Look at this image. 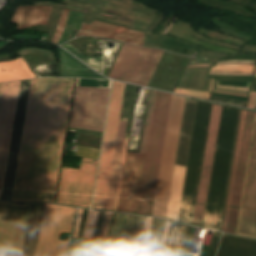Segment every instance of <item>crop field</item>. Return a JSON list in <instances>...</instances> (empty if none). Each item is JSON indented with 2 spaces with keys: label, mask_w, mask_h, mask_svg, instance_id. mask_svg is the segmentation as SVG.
Masks as SVG:
<instances>
[{
  "label": "crop field",
  "mask_w": 256,
  "mask_h": 256,
  "mask_svg": "<svg viewBox=\"0 0 256 256\" xmlns=\"http://www.w3.org/2000/svg\"><path fill=\"white\" fill-rule=\"evenodd\" d=\"M73 82L48 80L28 201L54 202Z\"/></svg>",
  "instance_id": "obj_1"
},
{
  "label": "crop field",
  "mask_w": 256,
  "mask_h": 256,
  "mask_svg": "<svg viewBox=\"0 0 256 256\" xmlns=\"http://www.w3.org/2000/svg\"><path fill=\"white\" fill-rule=\"evenodd\" d=\"M48 78L31 80L11 201L27 202Z\"/></svg>",
  "instance_id": "obj_2"
},
{
  "label": "crop field",
  "mask_w": 256,
  "mask_h": 256,
  "mask_svg": "<svg viewBox=\"0 0 256 256\" xmlns=\"http://www.w3.org/2000/svg\"><path fill=\"white\" fill-rule=\"evenodd\" d=\"M239 110L222 108L203 226L219 230Z\"/></svg>",
  "instance_id": "obj_3"
},
{
  "label": "crop field",
  "mask_w": 256,
  "mask_h": 256,
  "mask_svg": "<svg viewBox=\"0 0 256 256\" xmlns=\"http://www.w3.org/2000/svg\"><path fill=\"white\" fill-rule=\"evenodd\" d=\"M184 101V98L172 95L152 212L153 216L165 218L166 215Z\"/></svg>",
  "instance_id": "obj_4"
},
{
  "label": "crop field",
  "mask_w": 256,
  "mask_h": 256,
  "mask_svg": "<svg viewBox=\"0 0 256 256\" xmlns=\"http://www.w3.org/2000/svg\"><path fill=\"white\" fill-rule=\"evenodd\" d=\"M124 87L113 81L92 208L105 207Z\"/></svg>",
  "instance_id": "obj_5"
},
{
  "label": "crop field",
  "mask_w": 256,
  "mask_h": 256,
  "mask_svg": "<svg viewBox=\"0 0 256 256\" xmlns=\"http://www.w3.org/2000/svg\"><path fill=\"white\" fill-rule=\"evenodd\" d=\"M75 210L45 204L34 256H65L68 239L67 242L59 239L61 233L70 232Z\"/></svg>",
  "instance_id": "obj_6"
},
{
  "label": "crop field",
  "mask_w": 256,
  "mask_h": 256,
  "mask_svg": "<svg viewBox=\"0 0 256 256\" xmlns=\"http://www.w3.org/2000/svg\"><path fill=\"white\" fill-rule=\"evenodd\" d=\"M162 53L124 44L108 76L146 86Z\"/></svg>",
  "instance_id": "obj_7"
},
{
  "label": "crop field",
  "mask_w": 256,
  "mask_h": 256,
  "mask_svg": "<svg viewBox=\"0 0 256 256\" xmlns=\"http://www.w3.org/2000/svg\"><path fill=\"white\" fill-rule=\"evenodd\" d=\"M155 91L150 89L139 153L145 154ZM142 154L127 153L117 211L135 214L144 162Z\"/></svg>",
  "instance_id": "obj_8"
},
{
  "label": "crop field",
  "mask_w": 256,
  "mask_h": 256,
  "mask_svg": "<svg viewBox=\"0 0 256 256\" xmlns=\"http://www.w3.org/2000/svg\"><path fill=\"white\" fill-rule=\"evenodd\" d=\"M108 92L75 87L69 126L102 132Z\"/></svg>",
  "instance_id": "obj_9"
},
{
  "label": "crop field",
  "mask_w": 256,
  "mask_h": 256,
  "mask_svg": "<svg viewBox=\"0 0 256 256\" xmlns=\"http://www.w3.org/2000/svg\"><path fill=\"white\" fill-rule=\"evenodd\" d=\"M96 163L82 158L79 170L62 168L56 203L89 208Z\"/></svg>",
  "instance_id": "obj_10"
},
{
  "label": "crop field",
  "mask_w": 256,
  "mask_h": 256,
  "mask_svg": "<svg viewBox=\"0 0 256 256\" xmlns=\"http://www.w3.org/2000/svg\"><path fill=\"white\" fill-rule=\"evenodd\" d=\"M31 204L0 201V256H20Z\"/></svg>",
  "instance_id": "obj_11"
},
{
  "label": "crop field",
  "mask_w": 256,
  "mask_h": 256,
  "mask_svg": "<svg viewBox=\"0 0 256 256\" xmlns=\"http://www.w3.org/2000/svg\"><path fill=\"white\" fill-rule=\"evenodd\" d=\"M209 104H197L178 220L189 224Z\"/></svg>",
  "instance_id": "obj_12"
},
{
  "label": "crop field",
  "mask_w": 256,
  "mask_h": 256,
  "mask_svg": "<svg viewBox=\"0 0 256 256\" xmlns=\"http://www.w3.org/2000/svg\"><path fill=\"white\" fill-rule=\"evenodd\" d=\"M235 234L256 238V115Z\"/></svg>",
  "instance_id": "obj_13"
},
{
  "label": "crop field",
  "mask_w": 256,
  "mask_h": 256,
  "mask_svg": "<svg viewBox=\"0 0 256 256\" xmlns=\"http://www.w3.org/2000/svg\"><path fill=\"white\" fill-rule=\"evenodd\" d=\"M166 94L156 91L136 214L146 215Z\"/></svg>",
  "instance_id": "obj_14"
},
{
  "label": "crop field",
  "mask_w": 256,
  "mask_h": 256,
  "mask_svg": "<svg viewBox=\"0 0 256 256\" xmlns=\"http://www.w3.org/2000/svg\"><path fill=\"white\" fill-rule=\"evenodd\" d=\"M195 104L196 102L194 101L186 100L185 102L175 166L185 167V164H186ZM180 167L174 168V174H173V180H172V186H171V192H170V198H169V204H168V210H167V216H166V218H172L176 220L178 217V211H179V205H180V199H181V193H182V187H183V181H184V175H185V169H186V168H180Z\"/></svg>",
  "instance_id": "obj_15"
},
{
  "label": "crop field",
  "mask_w": 256,
  "mask_h": 256,
  "mask_svg": "<svg viewBox=\"0 0 256 256\" xmlns=\"http://www.w3.org/2000/svg\"><path fill=\"white\" fill-rule=\"evenodd\" d=\"M221 108L220 105H214L212 104L211 107V113H210V119H209V125H208V131H207V137H206V143H205V149H204V155H203V161H202V167H201V173H200V179H199V185H198V191H197V197H196V203H195V209H194V215H193V225L201 226L203 224V218H204V212H205V206H206V199H207V193H208V187H209V181H210V175H211V168H212V162H213V156H214V150H215V141H216V135L218 130V124L221 114Z\"/></svg>",
  "instance_id": "obj_16"
},
{
  "label": "crop field",
  "mask_w": 256,
  "mask_h": 256,
  "mask_svg": "<svg viewBox=\"0 0 256 256\" xmlns=\"http://www.w3.org/2000/svg\"><path fill=\"white\" fill-rule=\"evenodd\" d=\"M254 115H255L254 112H249V111H246V114H245V120H244V126H243V132H242V138H241V144H240V150H239V156H238V162H237V168H236V174H235V180H234V186H233V192H232V198H231V204H230V210H229V216H228V222H227V228H226L227 232H230L233 234L235 232L238 208L240 203L244 173L246 168L249 144H250L253 121H254Z\"/></svg>",
  "instance_id": "obj_17"
},
{
  "label": "crop field",
  "mask_w": 256,
  "mask_h": 256,
  "mask_svg": "<svg viewBox=\"0 0 256 256\" xmlns=\"http://www.w3.org/2000/svg\"><path fill=\"white\" fill-rule=\"evenodd\" d=\"M81 35L112 38L141 46H143L144 39V33L142 32L128 30L96 21L90 25L83 24V28L80 30L77 36Z\"/></svg>",
  "instance_id": "obj_18"
},
{
  "label": "crop field",
  "mask_w": 256,
  "mask_h": 256,
  "mask_svg": "<svg viewBox=\"0 0 256 256\" xmlns=\"http://www.w3.org/2000/svg\"><path fill=\"white\" fill-rule=\"evenodd\" d=\"M30 80L21 81L6 171L14 172Z\"/></svg>",
  "instance_id": "obj_19"
},
{
  "label": "crop field",
  "mask_w": 256,
  "mask_h": 256,
  "mask_svg": "<svg viewBox=\"0 0 256 256\" xmlns=\"http://www.w3.org/2000/svg\"><path fill=\"white\" fill-rule=\"evenodd\" d=\"M19 83H20V81H16V82H12V84H11V90H10L3 138H2V143H1V149H0V197H1V191H2L7 155H8V149H9V143H10L16 101H17V95H18Z\"/></svg>",
  "instance_id": "obj_20"
},
{
  "label": "crop field",
  "mask_w": 256,
  "mask_h": 256,
  "mask_svg": "<svg viewBox=\"0 0 256 256\" xmlns=\"http://www.w3.org/2000/svg\"><path fill=\"white\" fill-rule=\"evenodd\" d=\"M52 7L46 6H20L17 8L11 22L18 23L17 29L45 25L50 15Z\"/></svg>",
  "instance_id": "obj_21"
},
{
  "label": "crop field",
  "mask_w": 256,
  "mask_h": 256,
  "mask_svg": "<svg viewBox=\"0 0 256 256\" xmlns=\"http://www.w3.org/2000/svg\"><path fill=\"white\" fill-rule=\"evenodd\" d=\"M44 204H32L22 256H33Z\"/></svg>",
  "instance_id": "obj_22"
},
{
  "label": "crop field",
  "mask_w": 256,
  "mask_h": 256,
  "mask_svg": "<svg viewBox=\"0 0 256 256\" xmlns=\"http://www.w3.org/2000/svg\"><path fill=\"white\" fill-rule=\"evenodd\" d=\"M138 218L139 216H130L129 218L126 233H125V238L123 242L122 256H130L131 254L133 237H134ZM144 222H145V217H140L138 221L137 229H136L132 252L138 251ZM134 256H137V253H135Z\"/></svg>",
  "instance_id": "obj_23"
},
{
  "label": "crop field",
  "mask_w": 256,
  "mask_h": 256,
  "mask_svg": "<svg viewBox=\"0 0 256 256\" xmlns=\"http://www.w3.org/2000/svg\"><path fill=\"white\" fill-rule=\"evenodd\" d=\"M2 69H4V72L1 71ZM34 77L22 58L9 62H0V82Z\"/></svg>",
  "instance_id": "obj_24"
},
{
  "label": "crop field",
  "mask_w": 256,
  "mask_h": 256,
  "mask_svg": "<svg viewBox=\"0 0 256 256\" xmlns=\"http://www.w3.org/2000/svg\"><path fill=\"white\" fill-rule=\"evenodd\" d=\"M125 128H126V126H119V129H118V136H117V142H116V148H115V154H114V160H113V166H112V172H111V178H110V184H109V190H108V196H107V202H106V208H105V210H109V211H112V208H113L114 192H115L117 175H118L120 159H121V154H122V143H123Z\"/></svg>",
  "instance_id": "obj_25"
},
{
  "label": "crop field",
  "mask_w": 256,
  "mask_h": 256,
  "mask_svg": "<svg viewBox=\"0 0 256 256\" xmlns=\"http://www.w3.org/2000/svg\"><path fill=\"white\" fill-rule=\"evenodd\" d=\"M170 98H171V94L167 93L147 215H151V212H152V206H153V200H154V194H155V188H156V182H157V176H158V170H159V164H160V158H161V152H162L168 110H169V104H170Z\"/></svg>",
  "instance_id": "obj_26"
},
{
  "label": "crop field",
  "mask_w": 256,
  "mask_h": 256,
  "mask_svg": "<svg viewBox=\"0 0 256 256\" xmlns=\"http://www.w3.org/2000/svg\"><path fill=\"white\" fill-rule=\"evenodd\" d=\"M191 228L174 222L169 242V245L173 247L171 256H177L178 250H186Z\"/></svg>",
  "instance_id": "obj_27"
},
{
  "label": "crop field",
  "mask_w": 256,
  "mask_h": 256,
  "mask_svg": "<svg viewBox=\"0 0 256 256\" xmlns=\"http://www.w3.org/2000/svg\"><path fill=\"white\" fill-rule=\"evenodd\" d=\"M191 72L192 71H185L183 73V75H182V77L180 79V82H179L177 87H182V88H186L187 87V84H188ZM198 72H199V70H196V71L192 72V75H191V78H190V81H189V84H188L187 88L194 90L195 84H196V80H197V76H198ZM201 72H202V70H200V72H199V76H198V80H197V84H196L195 90H197V88H198ZM203 72H204V70H203ZM203 72H202V76H203ZM207 73H208V70H205L204 76H203V80H202V76H201L202 84H201V80H200L201 88H200V84H199V88L202 91L204 89V84H205ZM210 81H211V79L207 78L205 89H204V91H206V92H208ZM213 82H214V79H212V81H211L210 90H209L210 92L213 89ZM199 88H198V90H199Z\"/></svg>",
  "instance_id": "obj_28"
},
{
  "label": "crop field",
  "mask_w": 256,
  "mask_h": 256,
  "mask_svg": "<svg viewBox=\"0 0 256 256\" xmlns=\"http://www.w3.org/2000/svg\"><path fill=\"white\" fill-rule=\"evenodd\" d=\"M244 114H245V111L242 110L239 131H238V137H237V143H236V149H235V155H234V161H233V167H232V173H231V179H230V185H229V191H228V197H227V203H226V209H225V215H224V221H223V227H222V231H224V232H225V228H226V222H227V216H228V210H229V204H230V198H231V192H232V186H233V180H234V174H235V168H236L242 126H243V120H244Z\"/></svg>",
  "instance_id": "obj_29"
},
{
  "label": "crop field",
  "mask_w": 256,
  "mask_h": 256,
  "mask_svg": "<svg viewBox=\"0 0 256 256\" xmlns=\"http://www.w3.org/2000/svg\"><path fill=\"white\" fill-rule=\"evenodd\" d=\"M10 84L11 82L4 83V84H1V87H0V143H1L3 125L5 120Z\"/></svg>",
  "instance_id": "obj_30"
},
{
  "label": "crop field",
  "mask_w": 256,
  "mask_h": 256,
  "mask_svg": "<svg viewBox=\"0 0 256 256\" xmlns=\"http://www.w3.org/2000/svg\"><path fill=\"white\" fill-rule=\"evenodd\" d=\"M60 46L69 50L71 53H73L75 56H77L79 59H81L83 62H85L86 64H88L89 66L94 68L95 70H97L99 72L102 71V68H103V59L102 58L96 59L94 57L83 56L82 54L79 53V51H77L76 49H74L72 46H70L67 43L62 44Z\"/></svg>",
  "instance_id": "obj_31"
},
{
  "label": "crop field",
  "mask_w": 256,
  "mask_h": 256,
  "mask_svg": "<svg viewBox=\"0 0 256 256\" xmlns=\"http://www.w3.org/2000/svg\"><path fill=\"white\" fill-rule=\"evenodd\" d=\"M254 65H221L215 66L211 71H242V72H253Z\"/></svg>",
  "instance_id": "obj_32"
},
{
  "label": "crop field",
  "mask_w": 256,
  "mask_h": 256,
  "mask_svg": "<svg viewBox=\"0 0 256 256\" xmlns=\"http://www.w3.org/2000/svg\"><path fill=\"white\" fill-rule=\"evenodd\" d=\"M68 12L69 10H66V9H63V12H62V16H61V19L57 25V28L53 34V38H52V43H58L62 33H63V30H64V25L66 23V20H67V16H68Z\"/></svg>",
  "instance_id": "obj_33"
},
{
  "label": "crop field",
  "mask_w": 256,
  "mask_h": 256,
  "mask_svg": "<svg viewBox=\"0 0 256 256\" xmlns=\"http://www.w3.org/2000/svg\"><path fill=\"white\" fill-rule=\"evenodd\" d=\"M78 80L79 79H77L75 86H77ZM108 82L109 81L80 79L78 86L107 88ZM110 83H111V81H110ZM110 83H109V87H110Z\"/></svg>",
  "instance_id": "obj_34"
},
{
  "label": "crop field",
  "mask_w": 256,
  "mask_h": 256,
  "mask_svg": "<svg viewBox=\"0 0 256 256\" xmlns=\"http://www.w3.org/2000/svg\"><path fill=\"white\" fill-rule=\"evenodd\" d=\"M151 220H152V218H149V217L146 220L141 243H140V248H139V256H144V252H145L147 240H148V235H149V230H150V225H151Z\"/></svg>",
  "instance_id": "obj_35"
},
{
  "label": "crop field",
  "mask_w": 256,
  "mask_h": 256,
  "mask_svg": "<svg viewBox=\"0 0 256 256\" xmlns=\"http://www.w3.org/2000/svg\"><path fill=\"white\" fill-rule=\"evenodd\" d=\"M127 142H128V139H125L113 211H116V208H117V202H118V196H119V190H120V184H121V178H122V172H123V166H124V160H125V154H126V148H127Z\"/></svg>",
  "instance_id": "obj_36"
},
{
  "label": "crop field",
  "mask_w": 256,
  "mask_h": 256,
  "mask_svg": "<svg viewBox=\"0 0 256 256\" xmlns=\"http://www.w3.org/2000/svg\"><path fill=\"white\" fill-rule=\"evenodd\" d=\"M111 215H112V213L105 212L103 222L101 225V229H100V233H99V237L97 239L98 241L105 240L106 233H107L108 226H109L110 219H111Z\"/></svg>",
  "instance_id": "obj_37"
},
{
  "label": "crop field",
  "mask_w": 256,
  "mask_h": 256,
  "mask_svg": "<svg viewBox=\"0 0 256 256\" xmlns=\"http://www.w3.org/2000/svg\"><path fill=\"white\" fill-rule=\"evenodd\" d=\"M99 150L77 146L76 155L98 159Z\"/></svg>",
  "instance_id": "obj_38"
},
{
  "label": "crop field",
  "mask_w": 256,
  "mask_h": 256,
  "mask_svg": "<svg viewBox=\"0 0 256 256\" xmlns=\"http://www.w3.org/2000/svg\"><path fill=\"white\" fill-rule=\"evenodd\" d=\"M174 92L193 96V97L204 98V99H208V97L210 95V93H206V92L192 91V90H188V89H179V88H176L174 90Z\"/></svg>",
  "instance_id": "obj_39"
},
{
  "label": "crop field",
  "mask_w": 256,
  "mask_h": 256,
  "mask_svg": "<svg viewBox=\"0 0 256 256\" xmlns=\"http://www.w3.org/2000/svg\"><path fill=\"white\" fill-rule=\"evenodd\" d=\"M158 221H159V219L153 218L146 256H150L152 242H153L154 234H155L156 229H157Z\"/></svg>",
  "instance_id": "obj_40"
},
{
  "label": "crop field",
  "mask_w": 256,
  "mask_h": 256,
  "mask_svg": "<svg viewBox=\"0 0 256 256\" xmlns=\"http://www.w3.org/2000/svg\"><path fill=\"white\" fill-rule=\"evenodd\" d=\"M121 234H118L117 238V245H116V250H115V244H111V249H110V244H106V255L109 256V249H110V256H114V250H115V256H119V247H120V241H121Z\"/></svg>",
  "instance_id": "obj_41"
},
{
  "label": "crop field",
  "mask_w": 256,
  "mask_h": 256,
  "mask_svg": "<svg viewBox=\"0 0 256 256\" xmlns=\"http://www.w3.org/2000/svg\"><path fill=\"white\" fill-rule=\"evenodd\" d=\"M220 235H221L220 233L214 232L212 242H211V246H210L209 251H208V256H215V252H216L217 245H218V242H219V239H220Z\"/></svg>",
  "instance_id": "obj_42"
},
{
  "label": "crop field",
  "mask_w": 256,
  "mask_h": 256,
  "mask_svg": "<svg viewBox=\"0 0 256 256\" xmlns=\"http://www.w3.org/2000/svg\"><path fill=\"white\" fill-rule=\"evenodd\" d=\"M170 223L171 222H169V221L166 222V226H165L163 238H162V241H161V244H160L158 256H163L164 248H165V244H166V240H167V235H168V231H169V227H170Z\"/></svg>",
  "instance_id": "obj_43"
},
{
  "label": "crop field",
  "mask_w": 256,
  "mask_h": 256,
  "mask_svg": "<svg viewBox=\"0 0 256 256\" xmlns=\"http://www.w3.org/2000/svg\"><path fill=\"white\" fill-rule=\"evenodd\" d=\"M121 216H122V215H120V214H118V216H117V220H116V224H115V229H114L113 237H112V239H111L110 242H115V240H116L117 231H118L119 223H120V220H121ZM124 216H125V215L122 216V220H121V223H120V227H119V231H118V232L121 231V227H122V224H123Z\"/></svg>",
  "instance_id": "obj_44"
},
{
  "label": "crop field",
  "mask_w": 256,
  "mask_h": 256,
  "mask_svg": "<svg viewBox=\"0 0 256 256\" xmlns=\"http://www.w3.org/2000/svg\"><path fill=\"white\" fill-rule=\"evenodd\" d=\"M98 213H99L98 211H94L93 212V216H92V220H91V224H90V228H89V233H88L87 239H90V240L92 239V235H93L94 228H95V225H96Z\"/></svg>",
  "instance_id": "obj_45"
},
{
  "label": "crop field",
  "mask_w": 256,
  "mask_h": 256,
  "mask_svg": "<svg viewBox=\"0 0 256 256\" xmlns=\"http://www.w3.org/2000/svg\"><path fill=\"white\" fill-rule=\"evenodd\" d=\"M217 83V81H216ZM248 83H241V82H225V81H218L217 85H223V86H236V87H246ZM250 86V83L247 87Z\"/></svg>",
  "instance_id": "obj_46"
},
{
  "label": "crop field",
  "mask_w": 256,
  "mask_h": 256,
  "mask_svg": "<svg viewBox=\"0 0 256 256\" xmlns=\"http://www.w3.org/2000/svg\"><path fill=\"white\" fill-rule=\"evenodd\" d=\"M80 241L81 240H75V241L72 242L70 252H69L70 256H77Z\"/></svg>",
  "instance_id": "obj_47"
},
{
  "label": "crop field",
  "mask_w": 256,
  "mask_h": 256,
  "mask_svg": "<svg viewBox=\"0 0 256 256\" xmlns=\"http://www.w3.org/2000/svg\"><path fill=\"white\" fill-rule=\"evenodd\" d=\"M240 113H241V110H240ZM240 113H239V119H240ZM239 119H238V125H239ZM238 125H237V131H238ZM237 131H236V137H237ZM236 137H235V143H236ZM235 143H234V149H235ZM234 149H233V155H234ZM233 155H232V161H233ZM232 161H231V167H232ZM231 167H230V173H231ZM230 173H229V179H230ZM229 179H228V185H229ZM228 185H227V191H228ZM227 191H226V197H227ZM226 197H225V203H226ZM225 203H224V209H225ZM224 209H223V215H224ZM223 215H222L220 230L222 227Z\"/></svg>",
  "instance_id": "obj_48"
},
{
  "label": "crop field",
  "mask_w": 256,
  "mask_h": 256,
  "mask_svg": "<svg viewBox=\"0 0 256 256\" xmlns=\"http://www.w3.org/2000/svg\"><path fill=\"white\" fill-rule=\"evenodd\" d=\"M211 107V104H210ZM210 107H209V113H210ZM209 113H208V119H209ZM208 119H207V125H208ZM207 125H206V131H207ZM206 131H205V137H206ZM205 137H204V143H205ZM204 143H203V149H204ZM203 149H202V155H203ZM202 155H201V161H202ZM201 161H200V167H201ZM200 167H199V173H200ZM199 173H198V179H199ZM198 179H197V185H198ZM197 185H196V191H197ZM196 191H195V197H196ZM195 197H194V203H195ZM194 203H193V209H194ZM193 209H192V215H193ZM192 215H191V221H192ZM190 221V224H191Z\"/></svg>",
  "instance_id": "obj_49"
},
{
  "label": "crop field",
  "mask_w": 256,
  "mask_h": 256,
  "mask_svg": "<svg viewBox=\"0 0 256 256\" xmlns=\"http://www.w3.org/2000/svg\"><path fill=\"white\" fill-rule=\"evenodd\" d=\"M82 211H83V209H79V211H78L77 221H76L75 230H74V234H73L72 238H76V236H77V232H78V228H79V224H80V220H81Z\"/></svg>",
  "instance_id": "obj_50"
},
{
  "label": "crop field",
  "mask_w": 256,
  "mask_h": 256,
  "mask_svg": "<svg viewBox=\"0 0 256 256\" xmlns=\"http://www.w3.org/2000/svg\"><path fill=\"white\" fill-rule=\"evenodd\" d=\"M92 212L93 211L89 210V214H88V217H87V221H86V224H85V228H84V232H83V237L82 238H86L87 237V233H88V228H89V223H90Z\"/></svg>",
  "instance_id": "obj_51"
},
{
  "label": "crop field",
  "mask_w": 256,
  "mask_h": 256,
  "mask_svg": "<svg viewBox=\"0 0 256 256\" xmlns=\"http://www.w3.org/2000/svg\"><path fill=\"white\" fill-rule=\"evenodd\" d=\"M161 219H160V222H159V226H158V230H157V233H156V236H155V241H154V249L156 248V244H157V240H158V236H159V230H160V224H161ZM163 222V221H162ZM165 222V220H164ZM162 225V224H161ZM163 226H164V223H163ZM162 230H163V227H162ZM161 231V230H160ZM161 234H162V231H161ZM160 238H161V235H160ZM159 242H160V239H159ZM158 246H159V243H158ZM158 246H157V250H158ZM156 255H157V251H156Z\"/></svg>",
  "instance_id": "obj_52"
},
{
  "label": "crop field",
  "mask_w": 256,
  "mask_h": 256,
  "mask_svg": "<svg viewBox=\"0 0 256 256\" xmlns=\"http://www.w3.org/2000/svg\"><path fill=\"white\" fill-rule=\"evenodd\" d=\"M204 53H210V54H217V55H223V56H228V55H225V54H218V53H212V52H206V51H202ZM204 53H201L200 54V57H216V58H221L223 56H217V55H210V54H204Z\"/></svg>",
  "instance_id": "obj_53"
},
{
  "label": "crop field",
  "mask_w": 256,
  "mask_h": 256,
  "mask_svg": "<svg viewBox=\"0 0 256 256\" xmlns=\"http://www.w3.org/2000/svg\"><path fill=\"white\" fill-rule=\"evenodd\" d=\"M100 213H101V212H100ZM103 213H104V212H102V213H101V217H100V214H99L100 221H99V218H98L99 224H98V221H97L98 228H97V225H96L97 232H96V235H95V233H94V235H95V239H94V237H93V239H94V240H96V239H97V235H98V232H99V229H100V225H101V221H102ZM96 228H95V231H96Z\"/></svg>",
  "instance_id": "obj_54"
},
{
  "label": "crop field",
  "mask_w": 256,
  "mask_h": 256,
  "mask_svg": "<svg viewBox=\"0 0 256 256\" xmlns=\"http://www.w3.org/2000/svg\"><path fill=\"white\" fill-rule=\"evenodd\" d=\"M91 244H92L91 241H87L86 247H85V251H84V255H83V256H88V255H89V251H90V248H91Z\"/></svg>",
  "instance_id": "obj_55"
},
{
  "label": "crop field",
  "mask_w": 256,
  "mask_h": 256,
  "mask_svg": "<svg viewBox=\"0 0 256 256\" xmlns=\"http://www.w3.org/2000/svg\"><path fill=\"white\" fill-rule=\"evenodd\" d=\"M229 62H243V63H254V61H243V60H229V61H221V62H218L217 64H221V63H229Z\"/></svg>",
  "instance_id": "obj_56"
},
{
  "label": "crop field",
  "mask_w": 256,
  "mask_h": 256,
  "mask_svg": "<svg viewBox=\"0 0 256 256\" xmlns=\"http://www.w3.org/2000/svg\"><path fill=\"white\" fill-rule=\"evenodd\" d=\"M215 90H219V91H227V92H235V93H243V94H247L248 91H233V90H225V89H218L215 88Z\"/></svg>",
  "instance_id": "obj_57"
},
{
  "label": "crop field",
  "mask_w": 256,
  "mask_h": 256,
  "mask_svg": "<svg viewBox=\"0 0 256 256\" xmlns=\"http://www.w3.org/2000/svg\"><path fill=\"white\" fill-rule=\"evenodd\" d=\"M85 242L86 241L82 240L78 256H82L83 250H84V246H85Z\"/></svg>",
  "instance_id": "obj_58"
},
{
  "label": "crop field",
  "mask_w": 256,
  "mask_h": 256,
  "mask_svg": "<svg viewBox=\"0 0 256 256\" xmlns=\"http://www.w3.org/2000/svg\"><path fill=\"white\" fill-rule=\"evenodd\" d=\"M216 93H223V94H230V95H237V96H244L247 97V95H243V94H235V93H226V92H218V91H214Z\"/></svg>",
  "instance_id": "obj_59"
},
{
  "label": "crop field",
  "mask_w": 256,
  "mask_h": 256,
  "mask_svg": "<svg viewBox=\"0 0 256 256\" xmlns=\"http://www.w3.org/2000/svg\"><path fill=\"white\" fill-rule=\"evenodd\" d=\"M114 213H113V215H112V220H111V223H110V226H109V230H108V233H107V237H106V242H107V240H108V236H109V232H110V228H111V225H112V222H113V218H114Z\"/></svg>",
  "instance_id": "obj_60"
},
{
  "label": "crop field",
  "mask_w": 256,
  "mask_h": 256,
  "mask_svg": "<svg viewBox=\"0 0 256 256\" xmlns=\"http://www.w3.org/2000/svg\"><path fill=\"white\" fill-rule=\"evenodd\" d=\"M116 216H117V214L115 215V219H114V223H113V226H112V229H111L109 241H110V239H111V237H112V232H113V227H114V224H115ZM109 241H108V242H109Z\"/></svg>",
  "instance_id": "obj_61"
},
{
  "label": "crop field",
  "mask_w": 256,
  "mask_h": 256,
  "mask_svg": "<svg viewBox=\"0 0 256 256\" xmlns=\"http://www.w3.org/2000/svg\"><path fill=\"white\" fill-rule=\"evenodd\" d=\"M128 217H129V216H128ZM128 217H127V221H128ZM126 225H127V223H126ZM125 229H126V227H125ZM124 233H125V230H124ZM123 237H124V234H123ZM123 237H122V241H121L120 256H121V251H122Z\"/></svg>",
  "instance_id": "obj_62"
},
{
  "label": "crop field",
  "mask_w": 256,
  "mask_h": 256,
  "mask_svg": "<svg viewBox=\"0 0 256 256\" xmlns=\"http://www.w3.org/2000/svg\"><path fill=\"white\" fill-rule=\"evenodd\" d=\"M193 229H194V228H193ZM193 229H192V233H193ZM192 233H191V237H192ZM191 237H190V240H189V244H188V247H187V250H186V254H185V256H187V254H188V249H189V245H190Z\"/></svg>",
  "instance_id": "obj_63"
},
{
  "label": "crop field",
  "mask_w": 256,
  "mask_h": 256,
  "mask_svg": "<svg viewBox=\"0 0 256 256\" xmlns=\"http://www.w3.org/2000/svg\"><path fill=\"white\" fill-rule=\"evenodd\" d=\"M255 74H256V71H255Z\"/></svg>",
  "instance_id": "obj_64"
}]
</instances>
